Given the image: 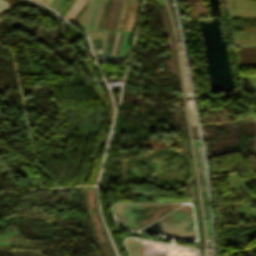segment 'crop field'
Wrapping results in <instances>:
<instances>
[{"label": "crop field", "instance_id": "crop-field-1", "mask_svg": "<svg viewBox=\"0 0 256 256\" xmlns=\"http://www.w3.org/2000/svg\"><path fill=\"white\" fill-rule=\"evenodd\" d=\"M10 8L9 5L5 4L3 1L0 0V11Z\"/></svg>", "mask_w": 256, "mask_h": 256}]
</instances>
